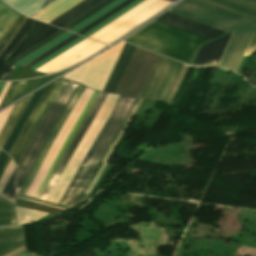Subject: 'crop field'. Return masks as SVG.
I'll return each mask as SVG.
<instances>
[{
  "label": "crop field",
  "instance_id": "1",
  "mask_svg": "<svg viewBox=\"0 0 256 256\" xmlns=\"http://www.w3.org/2000/svg\"><path fill=\"white\" fill-rule=\"evenodd\" d=\"M169 11L226 32L256 24V0H183Z\"/></svg>",
  "mask_w": 256,
  "mask_h": 256
},
{
  "label": "crop field",
  "instance_id": "2",
  "mask_svg": "<svg viewBox=\"0 0 256 256\" xmlns=\"http://www.w3.org/2000/svg\"><path fill=\"white\" fill-rule=\"evenodd\" d=\"M135 100L136 98L120 96L107 123L68 186L59 205L71 208L77 204L91 176L98 168L114 137L121 128Z\"/></svg>",
  "mask_w": 256,
  "mask_h": 256
},
{
  "label": "crop field",
  "instance_id": "3",
  "mask_svg": "<svg viewBox=\"0 0 256 256\" xmlns=\"http://www.w3.org/2000/svg\"><path fill=\"white\" fill-rule=\"evenodd\" d=\"M125 41L190 65L198 46L209 40L154 21Z\"/></svg>",
  "mask_w": 256,
  "mask_h": 256
},
{
  "label": "crop field",
  "instance_id": "4",
  "mask_svg": "<svg viewBox=\"0 0 256 256\" xmlns=\"http://www.w3.org/2000/svg\"><path fill=\"white\" fill-rule=\"evenodd\" d=\"M77 86L78 83L67 80L66 84L54 100L53 104L51 105L50 109L48 110L38 129L36 130L33 138L31 139L28 147L23 153L19 163L17 164L19 174L15 181L16 194L18 193L24 179L29 173L41 147L46 141L53 126L57 122L65 105L67 104L68 100L70 99Z\"/></svg>",
  "mask_w": 256,
  "mask_h": 256
},
{
  "label": "crop field",
  "instance_id": "5",
  "mask_svg": "<svg viewBox=\"0 0 256 256\" xmlns=\"http://www.w3.org/2000/svg\"><path fill=\"white\" fill-rule=\"evenodd\" d=\"M124 44V42L118 43L96 58L65 74L64 78L102 91Z\"/></svg>",
  "mask_w": 256,
  "mask_h": 256
},
{
  "label": "crop field",
  "instance_id": "6",
  "mask_svg": "<svg viewBox=\"0 0 256 256\" xmlns=\"http://www.w3.org/2000/svg\"><path fill=\"white\" fill-rule=\"evenodd\" d=\"M93 93H94V90H91V89H88L85 87L84 91L80 94V96H79L77 102L75 103L73 109L71 110L68 118L66 119L65 123L63 124V126L61 127L57 136L55 137L53 143L51 144L46 156L44 157L32 183L30 184L27 192L25 193V195L34 197V195L37 192L38 188L40 187L44 177L46 176L47 172L49 171L52 164L54 163V161H55L59 151L61 150L66 138L68 137L71 129L73 128L74 124L76 123L79 116L83 112L86 104L90 100Z\"/></svg>",
  "mask_w": 256,
  "mask_h": 256
},
{
  "label": "crop field",
  "instance_id": "7",
  "mask_svg": "<svg viewBox=\"0 0 256 256\" xmlns=\"http://www.w3.org/2000/svg\"><path fill=\"white\" fill-rule=\"evenodd\" d=\"M158 56L137 47L116 93L139 97Z\"/></svg>",
  "mask_w": 256,
  "mask_h": 256
},
{
  "label": "crop field",
  "instance_id": "8",
  "mask_svg": "<svg viewBox=\"0 0 256 256\" xmlns=\"http://www.w3.org/2000/svg\"><path fill=\"white\" fill-rule=\"evenodd\" d=\"M181 66L160 55L140 97L164 103Z\"/></svg>",
  "mask_w": 256,
  "mask_h": 256
},
{
  "label": "crop field",
  "instance_id": "9",
  "mask_svg": "<svg viewBox=\"0 0 256 256\" xmlns=\"http://www.w3.org/2000/svg\"><path fill=\"white\" fill-rule=\"evenodd\" d=\"M65 82L66 80L64 79H58L49 84L48 88L46 89L30 118L24 125L14 147L8 153L14 159L16 164L22 153L24 152L25 148L27 147L39 123L41 122L42 118L44 117L55 97L60 92Z\"/></svg>",
  "mask_w": 256,
  "mask_h": 256
},
{
  "label": "crop field",
  "instance_id": "10",
  "mask_svg": "<svg viewBox=\"0 0 256 256\" xmlns=\"http://www.w3.org/2000/svg\"><path fill=\"white\" fill-rule=\"evenodd\" d=\"M255 26L231 33L232 36L217 65L218 67L236 71Z\"/></svg>",
  "mask_w": 256,
  "mask_h": 256
},
{
  "label": "crop field",
  "instance_id": "11",
  "mask_svg": "<svg viewBox=\"0 0 256 256\" xmlns=\"http://www.w3.org/2000/svg\"><path fill=\"white\" fill-rule=\"evenodd\" d=\"M156 21L204 37L209 40H212L226 33L169 11H167L165 14L157 18Z\"/></svg>",
  "mask_w": 256,
  "mask_h": 256
},
{
  "label": "crop field",
  "instance_id": "12",
  "mask_svg": "<svg viewBox=\"0 0 256 256\" xmlns=\"http://www.w3.org/2000/svg\"><path fill=\"white\" fill-rule=\"evenodd\" d=\"M108 94V93H107ZM106 93L101 92L99 97L97 98L96 102L94 103L93 107L91 108L90 112L88 113L86 119L84 120L83 124L81 125L77 135L75 136V138L73 139L72 143L70 144L67 152L65 153L62 161L60 162L56 172L54 173L53 177L51 178L47 188L45 189L41 200H47V198L49 197L50 193L52 192L60 174L62 173L66 163L68 162L71 154L73 153L74 149L76 148L77 144L79 143L82 135L84 134L85 130L87 129L88 125L90 124V122L92 121L93 117L95 116V114L97 113L104 97H105Z\"/></svg>",
  "mask_w": 256,
  "mask_h": 256
},
{
  "label": "crop field",
  "instance_id": "13",
  "mask_svg": "<svg viewBox=\"0 0 256 256\" xmlns=\"http://www.w3.org/2000/svg\"><path fill=\"white\" fill-rule=\"evenodd\" d=\"M171 2L165 1V0H158L145 10L141 11L113 31L109 32L102 38H100L98 41L104 42L109 44L113 40L117 39L124 33L128 32L129 30L133 29L134 27L138 26L141 24L143 21H145L147 18L150 16L156 14L157 12L161 11L164 9L167 5H169Z\"/></svg>",
  "mask_w": 256,
  "mask_h": 256
},
{
  "label": "crop field",
  "instance_id": "14",
  "mask_svg": "<svg viewBox=\"0 0 256 256\" xmlns=\"http://www.w3.org/2000/svg\"><path fill=\"white\" fill-rule=\"evenodd\" d=\"M230 36L231 33L203 45L200 48L193 65L216 66Z\"/></svg>",
  "mask_w": 256,
  "mask_h": 256
},
{
  "label": "crop field",
  "instance_id": "15",
  "mask_svg": "<svg viewBox=\"0 0 256 256\" xmlns=\"http://www.w3.org/2000/svg\"><path fill=\"white\" fill-rule=\"evenodd\" d=\"M59 29L60 28L35 21L26 38L23 40V42L21 41L22 43L19 45V47L17 46L18 48L15 50V52L13 51L14 53L7 59L6 62L13 59L17 55L21 54L25 50L29 49Z\"/></svg>",
  "mask_w": 256,
  "mask_h": 256
},
{
  "label": "crop field",
  "instance_id": "16",
  "mask_svg": "<svg viewBox=\"0 0 256 256\" xmlns=\"http://www.w3.org/2000/svg\"><path fill=\"white\" fill-rule=\"evenodd\" d=\"M135 48V46L125 44L103 91L116 92Z\"/></svg>",
  "mask_w": 256,
  "mask_h": 256
},
{
  "label": "crop field",
  "instance_id": "17",
  "mask_svg": "<svg viewBox=\"0 0 256 256\" xmlns=\"http://www.w3.org/2000/svg\"><path fill=\"white\" fill-rule=\"evenodd\" d=\"M33 19L27 18L22 27L16 33L11 42L6 46V48L0 54V80H8L14 66L5 64L6 58L12 52V50L16 47V45L21 41V39L25 36L27 30L31 26Z\"/></svg>",
  "mask_w": 256,
  "mask_h": 256
},
{
  "label": "crop field",
  "instance_id": "18",
  "mask_svg": "<svg viewBox=\"0 0 256 256\" xmlns=\"http://www.w3.org/2000/svg\"><path fill=\"white\" fill-rule=\"evenodd\" d=\"M23 244L22 226L0 228V256Z\"/></svg>",
  "mask_w": 256,
  "mask_h": 256
},
{
  "label": "crop field",
  "instance_id": "19",
  "mask_svg": "<svg viewBox=\"0 0 256 256\" xmlns=\"http://www.w3.org/2000/svg\"><path fill=\"white\" fill-rule=\"evenodd\" d=\"M47 86H45L44 88H42L39 91L34 93L32 99L30 100V102H29L28 106L26 107L24 113L22 112L23 113L22 116L20 117L18 122L15 124L8 140L6 141L5 145L2 148L7 153L13 147V145H14V143H15L22 127H23V125L25 124V122L29 118L30 114L32 113L33 109L35 108L36 104L38 103L39 99L41 98V96L44 93Z\"/></svg>",
  "mask_w": 256,
  "mask_h": 256
},
{
  "label": "crop field",
  "instance_id": "20",
  "mask_svg": "<svg viewBox=\"0 0 256 256\" xmlns=\"http://www.w3.org/2000/svg\"><path fill=\"white\" fill-rule=\"evenodd\" d=\"M103 1L104 0H83L49 24L62 28Z\"/></svg>",
  "mask_w": 256,
  "mask_h": 256
},
{
  "label": "crop field",
  "instance_id": "21",
  "mask_svg": "<svg viewBox=\"0 0 256 256\" xmlns=\"http://www.w3.org/2000/svg\"><path fill=\"white\" fill-rule=\"evenodd\" d=\"M80 1L82 0H56L40 10L36 19L48 23Z\"/></svg>",
  "mask_w": 256,
  "mask_h": 256
},
{
  "label": "crop field",
  "instance_id": "22",
  "mask_svg": "<svg viewBox=\"0 0 256 256\" xmlns=\"http://www.w3.org/2000/svg\"><path fill=\"white\" fill-rule=\"evenodd\" d=\"M155 1H157V0H145V1H143L142 3L137 5L136 7L132 8L131 10H129L128 12H126L125 14H123L122 16H120L119 18H117L116 20H114L113 22L108 24L107 26H105L104 28L100 29L99 31H97L96 33L91 35L89 38H92V39H95V40L99 39L100 37H102L103 35H105L109 31H111L112 29L116 28L117 26H119L120 24H122L123 22H125L126 20H128L129 18H131L132 16H134L135 14H137L138 12L143 10L144 8H146L149 5H151L152 3H154Z\"/></svg>",
  "mask_w": 256,
  "mask_h": 256
},
{
  "label": "crop field",
  "instance_id": "23",
  "mask_svg": "<svg viewBox=\"0 0 256 256\" xmlns=\"http://www.w3.org/2000/svg\"><path fill=\"white\" fill-rule=\"evenodd\" d=\"M83 89H84V86H82V85H80L79 84V86L77 87V89H76V91L74 92V94L75 93H77L78 95H77V97H76V94H75V96H74V94L72 95V97H71V99H70V101L68 102V104H67V106H66V108L64 109V111H63V113H62V115H61V117L59 118V120H58V122L56 123V125H55V127H54V129L52 130V132H51V134H50V136H49V138H48V140L46 141V143H45V145H44V147L42 148V150H41V152H40V154L38 155V157H37V159H36V161H35V163H34V165H33V167H32V169H31V171H30V173H29V175H28V177H27V179H26V181H25V183L23 184V186H22V188H24V186H25V184H26V182L28 181V179H29V177H30V175H31V173H32V171H33V169H34V166H35V164H36V162H37V160L39 159V157H40V155H41V153L43 152V150H44V148L46 147V145H47V143H48V141H49V139H50V137H51V135H52V133H53V131L55 130V128H56V126L58 125V123L60 122V120H61V118L63 117V115H64V113H65V111H66V109L68 108V106H69V104H70V102H71V100H72V98H73V96H74V98H73V100L75 99V97H76V99H75V101L73 102V100H72V102H73V104H72V102H71V104H72V106H71V104H70V109H69V111H68V109H67V111H68V113L66 114V116H65V118L63 119V121H62V123L65 121V119L67 118V116H68V114H69V112H70V110L72 109V107H73V105H74V103L76 102V100H77V98H78V96H79V94L83 91ZM66 111V112H67ZM61 123V122H60ZM59 123V124H60ZM62 123H61V125H62ZM61 125L59 126V128H58V126H57V128H58V130H57V128H56V133H55V131H54V133H55V135H54V133H53V135H54V137L56 136V134H57V132L59 131V129H60V127H61ZM53 135H52V137H53ZM52 137H51V139H52ZM54 137H53V139H54ZM50 139V140H51ZM53 139L51 140V142L53 141ZM50 142V141H49ZM51 142H50V144H51ZM49 144V143H48ZM50 144H49V146H50ZM48 146V145H47ZM49 146H48V148H49ZM47 148V147H46ZM45 148V149H46ZM47 148V149H48ZM47 149H46V151H47ZM45 151V150H44ZM46 151H45V153H46ZM44 153V152H43ZM45 153H44V155H45ZM43 155V154H42ZM42 155H41V157H42ZM44 155H43V157H44ZM41 157H40V159H41ZM43 157H42V159H43ZM39 159V160H40ZM41 159V160H42ZM39 162V161H38ZM41 162V161H40ZM38 164V163H37ZM40 164V163H39ZM37 166V165H36ZM39 166V165H38ZM36 168V167H35ZM38 168V167H37ZM37 168H36V170H37ZM35 170V169H34ZM36 170H35V172H36ZM34 172V171H33ZM35 172H34V174H35ZM33 174V173H32ZM34 174L32 175V177H31V179H30V181L28 182V184H27V186H26V189L28 188V186H29V184H30V182H31V180H32V178H33V176H34ZM26 189H21L20 190V192H19V194H21V195H24V193H25V191H26Z\"/></svg>",
  "mask_w": 256,
  "mask_h": 256
},
{
  "label": "crop field",
  "instance_id": "24",
  "mask_svg": "<svg viewBox=\"0 0 256 256\" xmlns=\"http://www.w3.org/2000/svg\"><path fill=\"white\" fill-rule=\"evenodd\" d=\"M104 46H105V44H101V43L95 42V43L91 44L90 46H88L87 48L83 49L82 51L78 52L74 56H72L69 59L65 60L61 64H59L56 67L52 68L51 70H49L46 73L60 71V70H63L65 68L69 67V66H72V65H74V64L84 60L85 58L90 56L92 53H94L95 51L99 50L100 48H102Z\"/></svg>",
  "mask_w": 256,
  "mask_h": 256
},
{
  "label": "crop field",
  "instance_id": "25",
  "mask_svg": "<svg viewBox=\"0 0 256 256\" xmlns=\"http://www.w3.org/2000/svg\"><path fill=\"white\" fill-rule=\"evenodd\" d=\"M33 95V94H32ZM28 96L27 98L23 99L22 101L18 102L15 104L1 134H0V147L2 148L3 144L5 143V141L7 140L14 124L16 123V121L18 120L22 110L24 109V107L27 105L29 99L31 98V96Z\"/></svg>",
  "mask_w": 256,
  "mask_h": 256
},
{
  "label": "crop field",
  "instance_id": "26",
  "mask_svg": "<svg viewBox=\"0 0 256 256\" xmlns=\"http://www.w3.org/2000/svg\"><path fill=\"white\" fill-rule=\"evenodd\" d=\"M94 41L86 38L83 41L79 42L78 44H76L75 46H73L72 48L68 49L67 51H65L64 53H62L61 55L57 56L56 58H54L53 60L49 61L48 63H46L45 65H43L42 67L38 68L36 71L39 72H46L49 69H51L52 67L56 66L57 64L61 63L62 61H64L65 59L69 58L70 56L74 55L75 53H77L78 51L82 50L83 48L87 47L88 45H90L91 43H93Z\"/></svg>",
  "mask_w": 256,
  "mask_h": 256
},
{
  "label": "crop field",
  "instance_id": "27",
  "mask_svg": "<svg viewBox=\"0 0 256 256\" xmlns=\"http://www.w3.org/2000/svg\"><path fill=\"white\" fill-rule=\"evenodd\" d=\"M139 101H140V99L139 98H137V100H136V102H135V104L133 105V107H132V109H131V111H130V113H129V115H128V117H127V119H126V121H125V123H124V125L122 126V128L120 129V131H119V133L117 134V136L115 137V139H114V141H113V143H112V145L110 146V148H109V150H108V152L106 153V155H105V157H104V159L102 160V162H101V164H100V166H99V168L97 169V171L94 173V175L92 176V178H91V180H90V182H89V184L87 185V187H86V189H85V191H84V193H83V195H82V197H81V199H80V201H79V203H81L82 201H84L85 200V198H86V196L88 195V192H90L91 191V189H92V187L94 186V184H95V182L97 181V179H98V177L100 176V174H101V172L103 171V169L105 168V166H106V161H107V159H108V157H109V155H110V153H111V148H112V146H113V144H114V142H115V140H116V138L118 137H120V135L122 134V132H123V130H124V128H125V126L127 125V123H128V121H129V119L131 118V116H132V114H133V112H134V110H135V108L137 107V105H138V103H139ZM117 138V139H118ZM117 141V140H116ZM116 143V142H115ZM115 147V146H114ZM109 151H110V153H109ZM108 153H109V155H108ZM108 155V157L106 158V156ZM105 158H106V160H105ZM104 160H105V162H104ZM104 162V164L102 165V163ZM101 165H102V167H101ZM100 167H101V169H100ZM100 169V170H99ZM98 170H99V172H98ZM97 172H98V174H97ZM97 174V175H96ZM95 175H96V177H95ZM94 177H95V179H94ZM93 179H94V181H93ZM93 181V182H92ZM91 182H92V184H91ZM90 184H91V186H90ZM90 186V187H89ZM88 187H89V189H88ZM87 189H88V192H86L87 191ZM78 203V204H79Z\"/></svg>",
  "mask_w": 256,
  "mask_h": 256
},
{
  "label": "crop field",
  "instance_id": "28",
  "mask_svg": "<svg viewBox=\"0 0 256 256\" xmlns=\"http://www.w3.org/2000/svg\"><path fill=\"white\" fill-rule=\"evenodd\" d=\"M20 16L0 1V38Z\"/></svg>",
  "mask_w": 256,
  "mask_h": 256
},
{
  "label": "crop field",
  "instance_id": "29",
  "mask_svg": "<svg viewBox=\"0 0 256 256\" xmlns=\"http://www.w3.org/2000/svg\"><path fill=\"white\" fill-rule=\"evenodd\" d=\"M17 224L14 205L0 198V226Z\"/></svg>",
  "mask_w": 256,
  "mask_h": 256
},
{
  "label": "crop field",
  "instance_id": "30",
  "mask_svg": "<svg viewBox=\"0 0 256 256\" xmlns=\"http://www.w3.org/2000/svg\"><path fill=\"white\" fill-rule=\"evenodd\" d=\"M70 35H72V33H64L61 36H59L58 38L54 39L53 41L49 42L48 44L44 45L43 47H41L40 49L36 50L35 52L31 53L30 55L26 56L25 58H23L22 60L18 61L17 63H15L16 65H24L27 62H29L30 60L34 59L35 57H37L38 55L42 54L43 52H45L46 50L50 49L51 47H53L54 45L58 44L59 42H61L62 40L66 39L67 37H69Z\"/></svg>",
  "mask_w": 256,
  "mask_h": 256
},
{
  "label": "crop field",
  "instance_id": "31",
  "mask_svg": "<svg viewBox=\"0 0 256 256\" xmlns=\"http://www.w3.org/2000/svg\"><path fill=\"white\" fill-rule=\"evenodd\" d=\"M16 212L19 224L31 223L47 215L46 213L23 209L17 206Z\"/></svg>",
  "mask_w": 256,
  "mask_h": 256
},
{
  "label": "crop field",
  "instance_id": "32",
  "mask_svg": "<svg viewBox=\"0 0 256 256\" xmlns=\"http://www.w3.org/2000/svg\"><path fill=\"white\" fill-rule=\"evenodd\" d=\"M123 1H125V0H115V1H113L109 5L105 6L104 8H102L101 10L96 12L95 14L91 15L90 17H88L87 19H85L84 21L79 23L78 25H76L73 28H71L69 31H72L74 33L77 32L78 30H80L81 28L85 27L86 25H88L89 23H91L92 21L97 19L98 17L102 16L103 14H105L106 12L111 10L112 8H114L117 5H119L120 3H122Z\"/></svg>",
  "mask_w": 256,
  "mask_h": 256
},
{
  "label": "crop field",
  "instance_id": "33",
  "mask_svg": "<svg viewBox=\"0 0 256 256\" xmlns=\"http://www.w3.org/2000/svg\"><path fill=\"white\" fill-rule=\"evenodd\" d=\"M142 1L143 0H136V1H134L130 5L126 6L125 8H123L122 10H120L119 12H117L116 14H114L113 16H111L110 18H108L107 20L102 22L101 24H99L98 26L94 27L93 29H91L90 31L85 33L83 36H86V37L90 36L91 34L96 32L97 30H99L103 26L107 25L108 23H110L111 21H113L114 19H116L117 17H119L120 15H122L123 13H125L126 11H128L129 9H131L132 7H134L135 5L139 4Z\"/></svg>",
  "mask_w": 256,
  "mask_h": 256
},
{
  "label": "crop field",
  "instance_id": "34",
  "mask_svg": "<svg viewBox=\"0 0 256 256\" xmlns=\"http://www.w3.org/2000/svg\"><path fill=\"white\" fill-rule=\"evenodd\" d=\"M27 17L21 15L19 19L10 27V29L3 35V37L0 39V52L4 49L6 44L9 42L11 37L14 35V33L17 31V29L20 27V25L24 22V20ZM13 38V37H12Z\"/></svg>",
  "mask_w": 256,
  "mask_h": 256
},
{
  "label": "crop field",
  "instance_id": "35",
  "mask_svg": "<svg viewBox=\"0 0 256 256\" xmlns=\"http://www.w3.org/2000/svg\"><path fill=\"white\" fill-rule=\"evenodd\" d=\"M79 35H72L69 38H67L66 40L62 41L61 43H59L58 45L54 46L53 48H51L50 50L46 51L45 53H43L42 55L38 56L37 58H35L34 60L30 61L29 63H27L26 65H24L23 67H31L32 65L36 64L37 62H39L40 60H42L43 58L47 57L48 55H50L51 53H53L54 51L58 50L59 48H61L62 46L66 45L67 43H69L70 41H72L73 39L77 38Z\"/></svg>",
  "mask_w": 256,
  "mask_h": 256
},
{
  "label": "crop field",
  "instance_id": "36",
  "mask_svg": "<svg viewBox=\"0 0 256 256\" xmlns=\"http://www.w3.org/2000/svg\"><path fill=\"white\" fill-rule=\"evenodd\" d=\"M133 1L134 0L125 1L124 3L120 4L119 6H117L116 8H114L113 10H111L110 12H108L107 14H105L104 16H102L101 18H99L92 24L88 25L87 27H85L84 29H82L81 31H79L76 34H80V35L84 34L85 32H87L88 30H90L91 28L96 26L97 24L101 23L102 21H104L105 19H107L108 17H110L111 15H113L114 13H116L117 11H119L120 9H122L123 7H125L126 5H128L129 3L133 2Z\"/></svg>",
  "mask_w": 256,
  "mask_h": 256
},
{
  "label": "crop field",
  "instance_id": "37",
  "mask_svg": "<svg viewBox=\"0 0 256 256\" xmlns=\"http://www.w3.org/2000/svg\"><path fill=\"white\" fill-rule=\"evenodd\" d=\"M66 31L64 30H59L58 32L54 33L53 35H51L50 37L46 38L45 40H43L42 42L38 43L37 45H35L34 47L30 48L29 50H27L26 52L22 53L21 55H19L18 57L14 58L13 60H11L10 62H8V64H13L15 62H17L18 60H20L21 58L25 57L26 55L30 54L31 52L35 51L36 49H38L39 47L43 46L44 44L48 43L49 41L53 40L54 38H56L57 36L61 35L62 33H64Z\"/></svg>",
  "mask_w": 256,
  "mask_h": 256
},
{
  "label": "crop field",
  "instance_id": "38",
  "mask_svg": "<svg viewBox=\"0 0 256 256\" xmlns=\"http://www.w3.org/2000/svg\"><path fill=\"white\" fill-rule=\"evenodd\" d=\"M15 167H16V165H15L14 161L11 159V161H10L9 164L7 165L5 171H4V173H3V175H2V177H1V179H0V193H1V191L3 190V188L5 187L7 181H8V179L10 178V176H11L12 172L14 171ZM1 194H2V193H1ZM1 194H0V197H2V198H4V199H6V200H8V201H10V202H12V203H14V201H12L11 199H9V198H7V197L1 195Z\"/></svg>",
  "mask_w": 256,
  "mask_h": 256
},
{
  "label": "crop field",
  "instance_id": "39",
  "mask_svg": "<svg viewBox=\"0 0 256 256\" xmlns=\"http://www.w3.org/2000/svg\"><path fill=\"white\" fill-rule=\"evenodd\" d=\"M85 37H78L77 39L73 40L72 42H70L69 44H67L66 46L62 47L61 49H59L58 51H56L55 53L51 54L50 56H48L47 58L43 59L42 61H40L39 63H37L36 65L32 66L29 69L35 70L38 67L42 66L43 64H45L46 62H48L49 60L53 59L54 57H56L57 55H59L60 53L64 52L65 50H67L68 48L72 47L73 45H75L76 43H78L79 41L83 40Z\"/></svg>",
  "mask_w": 256,
  "mask_h": 256
},
{
  "label": "crop field",
  "instance_id": "40",
  "mask_svg": "<svg viewBox=\"0 0 256 256\" xmlns=\"http://www.w3.org/2000/svg\"><path fill=\"white\" fill-rule=\"evenodd\" d=\"M25 83H26V81L15 82L14 83V85H13V87H12V89H11V91H10V93H9V95H8V97H7L3 106H5V105H7V104H9V103L18 99Z\"/></svg>",
  "mask_w": 256,
  "mask_h": 256
},
{
  "label": "crop field",
  "instance_id": "41",
  "mask_svg": "<svg viewBox=\"0 0 256 256\" xmlns=\"http://www.w3.org/2000/svg\"><path fill=\"white\" fill-rule=\"evenodd\" d=\"M112 1L113 0H106V1H104L103 3L99 4L98 6H96L92 10H90L89 12L85 13L84 15H82L81 17H79L78 19L73 21L72 23H70L67 26H65L63 29H65V28L70 29L71 27H73L74 25L78 24L79 22H81L82 20H84L85 18H87L91 14L95 13L96 11H98L99 9H101L102 7H104L105 5L109 4Z\"/></svg>",
  "mask_w": 256,
  "mask_h": 256
},
{
  "label": "crop field",
  "instance_id": "42",
  "mask_svg": "<svg viewBox=\"0 0 256 256\" xmlns=\"http://www.w3.org/2000/svg\"><path fill=\"white\" fill-rule=\"evenodd\" d=\"M98 94H99V92L97 93V95H96L95 99L97 98ZM95 99H94V101H95ZM94 101H93V103H94ZM93 103H92V105H93ZM90 105H91V104H90ZM92 105L90 106V108L92 107ZM90 108L87 110V112H86L85 116L83 117V119H82L81 123L83 122V120H84V118L86 117L87 113L89 112ZM81 123L79 124L78 128L76 129L75 133L73 134V136H72L71 140L69 141V143H68L67 147L69 146L70 142L72 141V139L74 138L75 134L77 133V131H78V129H79V127H80ZM67 147H66V149H67ZM66 149L64 150V152H63L62 156L60 157V159H59L58 163L56 164L55 168L53 169V171H52V173H51V175H50V177H49L48 181L50 180V178H51L52 174L54 173V171H55L56 167L58 166V164H59V162H60L61 158L63 157V155H64V153H65ZM48 181H47V183H48ZM47 183H46V185H47ZM46 185H45V187H46ZM45 187H44V189H45ZM44 189L42 190V192H41V194H40L39 198L41 197V195H42V193H43Z\"/></svg>",
  "mask_w": 256,
  "mask_h": 256
},
{
  "label": "crop field",
  "instance_id": "43",
  "mask_svg": "<svg viewBox=\"0 0 256 256\" xmlns=\"http://www.w3.org/2000/svg\"><path fill=\"white\" fill-rule=\"evenodd\" d=\"M13 106L9 107L8 109H6L0 113V131H1L2 127L4 126Z\"/></svg>",
  "mask_w": 256,
  "mask_h": 256
},
{
  "label": "crop field",
  "instance_id": "44",
  "mask_svg": "<svg viewBox=\"0 0 256 256\" xmlns=\"http://www.w3.org/2000/svg\"><path fill=\"white\" fill-rule=\"evenodd\" d=\"M254 50H256V28H255V30H254V33H253V35H252V38H251V40H250V42H249V45H248V47H247V50H246L245 54H247V53H249V52H252V51H254ZM245 54H244V55H245Z\"/></svg>",
  "mask_w": 256,
  "mask_h": 256
},
{
  "label": "crop field",
  "instance_id": "45",
  "mask_svg": "<svg viewBox=\"0 0 256 256\" xmlns=\"http://www.w3.org/2000/svg\"><path fill=\"white\" fill-rule=\"evenodd\" d=\"M8 157L9 156L1 150V152H0V172L5 164L6 160L8 159Z\"/></svg>",
  "mask_w": 256,
  "mask_h": 256
},
{
  "label": "crop field",
  "instance_id": "46",
  "mask_svg": "<svg viewBox=\"0 0 256 256\" xmlns=\"http://www.w3.org/2000/svg\"><path fill=\"white\" fill-rule=\"evenodd\" d=\"M10 83H11V82H9V83L6 84V86H5L4 90H3V92L1 93V95H0V103H1V101H2V99H3V97H4L5 93H6V91H7V89H8Z\"/></svg>",
  "mask_w": 256,
  "mask_h": 256
},
{
  "label": "crop field",
  "instance_id": "47",
  "mask_svg": "<svg viewBox=\"0 0 256 256\" xmlns=\"http://www.w3.org/2000/svg\"><path fill=\"white\" fill-rule=\"evenodd\" d=\"M12 84H13V82L11 83V85H10V87H9V89H8V91H7V93H6L5 97H4V99H3L2 103H1V105H0V109H1V107H2V105H3V103H4V100H5V98H6L7 94H8V92H9V90H10Z\"/></svg>",
  "mask_w": 256,
  "mask_h": 256
},
{
  "label": "crop field",
  "instance_id": "48",
  "mask_svg": "<svg viewBox=\"0 0 256 256\" xmlns=\"http://www.w3.org/2000/svg\"><path fill=\"white\" fill-rule=\"evenodd\" d=\"M54 0H45V3L43 5V7H45L46 5L50 4L51 2H53ZM42 7V8H43Z\"/></svg>",
  "mask_w": 256,
  "mask_h": 256
},
{
  "label": "crop field",
  "instance_id": "49",
  "mask_svg": "<svg viewBox=\"0 0 256 256\" xmlns=\"http://www.w3.org/2000/svg\"><path fill=\"white\" fill-rule=\"evenodd\" d=\"M26 200H29V199H26ZM30 201H33V202H36V201H34V200H30ZM37 203H39V202H37ZM41 204H44V203H41ZM45 205H49V204H45ZM49 206H51V205H49ZM52 207H54V206H52ZM57 208V207H56ZM61 209V208H60ZM65 210V209H64Z\"/></svg>",
  "mask_w": 256,
  "mask_h": 256
},
{
  "label": "crop field",
  "instance_id": "50",
  "mask_svg": "<svg viewBox=\"0 0 256 256\" xmlns=\"http://www.w3.org/2000/svg\"><path fill=\"white\" fill-rule=\"evenodd\" d=\"M5 85V83H0V91L3 88V86ZM3 90V89H2ZM2 92V91H1Z\"/></svg>",
  "mask_w": 256,
  "mask_h": 256
},
{
  "label": "crop field",
  "instance_id": "51",
  "mask_svg": "<svg viewBox=\"0 0 256 256\" xmlns=\"http://www.w3.org/2000/svg\"><path fill=\"white\" fill-rule=\"evenodd\" d=\"M9 161H10V158L8 159L6 165L8 164ZM6 165L4 166V168L6 167ZM4 168H3V170H4ZM3 170H2V172H3ZM2 172H1V174H2ZM1 174H0V176H1Z\"/></svg>",
  "mask_w": 256,
  "mask_h": 256
},
{
  "label": "crop field",
  "instance_id": "52",
  "mask_svg": "<svg viewBox=\"0 0 256 256\" xmlns=\"http://www.w3.org/2000/svg\"><path fill=\"white\" fill-rule=\"evenodd\" d=\"M26 253V252H25ZM25 253H23V254H21V255H19V256H29V255H27V254H25Z\"/></svg>",
  "mask_w": 256,
  "mask_h": 256
},
{
  "label": "crop field",
  "instance_id": "53",
  "mask_svg": "<svg viewBox=\"0 0 256 256\" xmlns=\"http://www.w3.org/2000/svg\"><path fill=\"white\" fill-rule=\"evenodd\" d=\"M168 1H171V2H173V1H175V0H168Z\"/></svg>",
  "mask_w": 256,
  "mask_h": 256
},
{
  "label": "crop field",
  "instance_id": "54",
  "mask_svg": "<svg viewBox=\"0 0 256 256\" xmlns=\"http://www.w3.org/2000/svg\"><path fill=\"white\" fill-rule=\"evenodd\" d=\"M1 150V149H0Z\"/></svg>",
  "mask_w": 256,
  "mask_h": 256
}]
</instances>
